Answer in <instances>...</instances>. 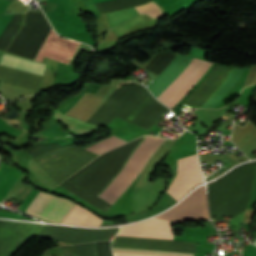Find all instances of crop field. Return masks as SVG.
Segmentation results:
<instances>
[{"label":"crop field","mask_w":256,"mask_h":256,"mask_svg":"<svg viewBox=\"0 0 256 256\" xmlns=\"http://www.w3.org/2000/svg\"><path fill=\"white\" fill-rule=\"evenodd\" d=\"M124 143H126V141L113 137L86 150L92 151L97 154H101L109 149H112Z\"/></svg>","instance_id":"16"},{"label":"crop field","mask_w":256,"mask_h":256,"mask_svg":"<svg viewBox=\"0 0 256 256\" xmlns=\"http://www.w3.org/2000/svg\"><path fill=\"white\" fill-rule=\"evenodd\" d=\"M102 220L89 210L75 205L62 224L80 226H98Z\"/></svg>","instance_id":"13"},{"label":"crop field","mask_w":256,"mask_h":256,"mask_svg":"<svg viewBox=\"0 0 256 256\" xmlns=\"http://www.w3.org/2000/svg\"><path fill=\"white\" fill-rule=\"evenodd\" d=\"M113 252L119 253H133V254H146V255H160V256H193L185 254H172V253H159V252H147V251H134V250H121V249H112Z\"/></svg>","instance_id":"18"},{"label":"crop field","mask_w":256,"mask_h":256,"mask_svg":"<svg viewBox=\"0 0 256 256\" xmlns=\"http://www.w3.org/2000/svg\"><path fill=\"white\" fill-rule=\"evenodd\" d=\"M54 118L62 121L70 130L77 135L87 134L95 130L98 126L80 122L76 119L63 116L59 111H56Z\"/></svg>","instance_id":"14"},{"label":"crop field","mask_w":256,"mask_h":256,"mask_svg":"<svg viewBox=\"0 0 256 256\" xmlns=\"http://www.w3.org/2000/svg\"><path fill=\"white\" fill-rule=\"evenodd\" d=\"M141 139L133 140L102 154L60 185L106 212L110 204L117 200L139 174L154 150L165 140L150 136ZM96 195L110 204L96 198Z\"/></svg>","instance_id":"1"},{"label":"crop field","mask_w":256,"mask_h":256,"mask_svg":"<svg viewBox=\"0 0 256 256\" xmlns=\"http://www.w3.org/2000/svg\"><path fill=\"white\" fill-rule=\"evenodd\" d=\"M255 169L256 161L239 165L207 185L211 215L232 217L245 209Z\"/></svg>","instance_id":"3"},{"label":"crop field","mask_w":256,"mask_h":256,"mask_svg":"<svg viewBox=\"0 0 256 256\" xmlns=\"http://www.w3.org/2000/svg\"><path fill=\"white\" fill-rule=\"evenodd\" d=\"M247 70H245V72L243 73L242 77L240 78V80L235 84V86L227 93V95L218 103V105L215 108H221L223 106H225V103L233 100L238 92L240 91L242 84L244 82V79L246 77L247 74Z\"/></svg>","instance_id":"17"},{"label":"crop field","mask_w":256,"mask_h":256,"mask_svg":"<svg viewBox=\"0 0 256 256\" xmlns=\"http://www.w3.org/2000/svg\"><path fill=\"white\" fill-rule=\"evenodd\" d=\"M177 162L176 176L165 192L178 201L194 186L202 182V176L196 154L178 159Z\"/></svg>","instance_id":"7"},{"label":"crop field","mask_w":256,"mask_h":256,"mask_svg":"<svg viewBox=\"0 0 256 256\" xmlns=\"http://www.w3.org/2000/svg\"><path fill=\"white\" fill-rule=\"evenodd\" d=\"M41 226L0 220V256H11Z\"/></svg>","instance_id":"8"},{"label":"crop field","mask_w":256,"mask_h":256,"mask_svg":"<svg viewBox=\"0 0 256 256\" xmlns=\"http://www.w3.org/2000/svg\"><path fill=\"white\" fill-rule=\"evenodd\" d=\"M0 64L39 76H43L45 67L44 64L22 59L8 54H4L1 57Z\"/></svg>","instance_id":"12"},{"label":"crop field","mask_w":256,"mask_h":256,"mask_svg":"<svg viewBox=\"0 0 256 256\" xmlns=\"http://www.w3.org/2000/svg\"><path fill=\"white\" fill-rule=\"evenodd\" d=\"M112 247L196 253L195 242L115 236Z\"/></svg>","instance_id":"10"},{"label":"crop field","mask_w":256,"mask_h":256,"mask_svg":"<svg viewBox=\"0 0 256 256\" xmlns=\"http://www.w3.org/2000/svg\"><path fill=\"white\" fill-rule=\"evenodd\" d=\"M118 228L111 229H80L53 225H44L35 236L58 240L70 244L108 240L111 234L115 235Z\"/></svg>","instance_id":"4"},{"label":"crop field","mask_w":256,"mask_h":256,"mask_svg":"<svg viewBox=\"0 0 256 256\" xmlns=\"http://www.w3.org/2000/svg\"><path fill=\"white\" fill-rule=\"evenodd\" d=\"M42 256H52V255L43 254Z\"/></svg>","instance_id":"19"},{"label":"crop field","mask_w":256,"mask_h":256,"mask_svg":"<svg viewBox=\"0 0 256 256\" xmlns=\"http://www.w3.org/2000/svg\"><path fill=\"white\" fill-rule=\"evenodd\" d=\"M62 256H96L94 243L59 247Z\"/></svg>","instance_id":"15"},{"label":"crop field","mask_w":256,"mask_h":256,"mask_svg":"<svg viewBox=\"0 0 256 256\" xmlns=\"http://www.w3.org/2000/svg\"><path fill=\"white\" fill-rule=\"evenodd\" d=\"M212 63L194 58L184 72L158 98L171 109L195 85Z\"/></svg>","instance_id":"5"},{"label":"crop field","mask_w":256,"mask_h":256,"mask_svg":"<svg viewBox=\"0 0 256 256\" xmlns=\"http://www.w3.org/2000/svg\"><path fill=\"white\" fill-rule=\"evenodd\" d=\"M154 218L173 221L208 219L204 187L196 189L183 202Z\"/></svg>","instance_id":"9"},{"label":"crop field","mask_w":256,"mask_h":256,"mask_svg":"<svg viewBox=\"0 0 256 256\" xmlns=\"http://www.w3.org/2000/svg\"><path fill=\"white\" fill-rule=\"evenodd\" d=\"M74 205L71 201L39 191L25 211L46 221L61 223Z\"/></svg>","instance_id":"6"},{"label":"crop field","mask_w":256,"mask_h":256,"mask_svg":"<svg viewBox=\"0 0 256 256\" xmlns=\"http://www.w3.org/2000/svg\"><path fill=\"white\" fill-rule=\"evenodd\" d=\"M171 222L149 219L141 223L122 226L117 235L172 240Z\"/></svg>","instance_id":"11"},{"label":"crop field","mask_w":256,"mask_h":256,"mask_svg":"<svg viewBox=\"0 0 256 256\" xmlns=\"http://www.w3.org/2000/svg\"><path fill=\"white\" fill-rule=\"evenodd\" d=\"M149 93L140 85L120 87L87 122L106 126L117 116L149 130L169 111Z\"/></svg>","instance_id":"2"}]
</instances>
